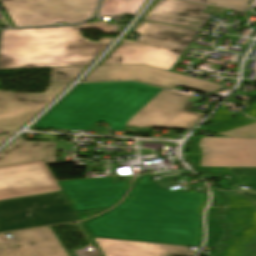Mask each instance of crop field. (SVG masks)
Segmentation results:
<instances>
[{"label":"crop field","instance_id":"crop-field-23","mask_svg":"<svg viewBox=\"0 0 256 256\" xmlns=\"http://www.w3.org/2000/svg\"><path fill=\"white\" fill-rule=\"evenodd\" d=\"M252 123H256V120H252V119L247 118L243 115L239 119H235L232 122L224 123V124H220V125H216V126H212V127H208V128H204V129H201L200 131H206V132H211V133L218 134V133H221V132H224V131H228V130H231V129H234V128L242 127V126L249 125V124H252Z\"/></svg>","mask_w":256,"mask_h":256},{"label":"crop field","instance_id":"crop-field-15","mask_svg":"<svg viewBox=\"0 0 256 256\" xmlns=\"http://www.w3.org/2000/svg\"><path fill=\"white\" fill-rule=\"evenodd\" d=\"M56 143L26 142L19 137L2 152L0 166L42 159L44 162H56Z\"/></svg>","mask_w":256,"mask_h":256},{"label":"crop field","instance_id":"crop-field-30","mask_svg":"<svg viewBox=\"0 0 256 256\" xmlns=\"http://www.w3.org/2000/svg\"><path fill=\"white\" fill-rule=\"evenodd\" d=\"M3 241H4V239H3V237L0 234V242H3Z\"/></svg>","mask_w":256,"mask_h":256},{"label":"crop field","instance_id":"crop-field-32","mask_svg":"<svg viewBox=\"0 0 256 256\" xmlns=\"http://www.w3.org/2000/svg\"><path fill=\"white\" fill-rule=\"evenodd\" d=\"M256 207V206H255Z\"/></svg>","mask_w":256,"mask_h":256},{"label":"crop field","instance_id":"crop-field-13","mask_svg":"<svg viewBox=\"0 0 256 256\" xmlns=\"http://www.w3.org/2000/svg\"><path fill=\"white\" fill-rule=\"evenodd\" d=\"M205 5L179 0H159L144 19L202 29L210 14L201 13Z\"/></svg>","mask_w":256,"mask_h":256},{"label":"crop field","instance_id":"crop-field-3","mask_svg":"<svg viewBox=\"0 0 256 256\" xmlns=\"http://www.w3.org/2000/svg\"><path fill=\"white\" fill-rule=\"evenodd\" d=\"M119 25L2 30L0 69L87 66L114 39H84L81 29L96 28L114 34Z\"/></svg>","mask_w":256,"mask_h":256},{"label":"crop field","instance_id":"crop-field-17","mask_svg":"<svg viewBox=\"0 0 256 256\" xmlns=\"http://www.w3.org/2000/svg\"><path fill=\"white\" fill-rule=\"evenodd\" d=\"M229 209L224 211V218L232 224V233H236L246 226L249 210L254 206L246 198L228 194Z\"/></svg>","mask_w":256,"mask_h":256},{"label":"crop field","instance_id":"crop-field-25","mask_svg":"<svg viewBox=\"0 0 256 256\" xmlns=\"http://www.w3.org/2000/svg\"><path fill=\"white\" fill-rule=\"evenodd\" d=\"M231 113H235V112H231V111H227V110H223L221 108H219L209 119L208 122L215 124V123H219V122H223V121H227V120H231L233 118H231ZM237 114V116L241 115V113H235Z\"/></svg>","mask_w":256,"mask_h":256},{"label":"crop field","instance_id":"crop-field-8","mask_svg":"<svg viewBox=\"0 0 256 256\" xmlns=\"http://www.w3.org/2000/svg\"><path fill=\"white\" fill-rule=\"evenodd\" d=\"M189 151L196 166L256 167V139L202 137Z\"/></svg>","mask_w":256,"mask_h":256},{"label":"crop field","instance_id":"crop-field-26","mask_svg":"<svg viewBox=\"0 0 256 256\" xmlns=\"http://www.w3.org/2000/svg\"><path fill=\"white\" fill-rule=\"evenodd\" d=\"M238 194L243 197H246L249 201H251L254 205H256V193L238 191Z\"/></svg>","mask_w":256,"mask_h":256},{"label":"crop field","instance_id":"crop-field-7","mask_svg":"<svg viewBox=\"0 0 256 256\" xmlns=\"http://www.w3.org/2000/svg\"><path fill=\"white\" fill-rule=\"evenodd\" d=\"M113 80H136L167 89L177 85L205 93L224 87L146 65L97 66L82 82Z\"/></svg>","mask_w":256,"mask_h":256},{"label":"crop field","instance_id":"crop-field-14","mask_svg":"<svg viewBox=\"0 0 256 256\" xmlns=\"http://www.w3.org/2000/svg\"><path fill=\"white\" fill-rule=\"evenodd\" d=\"M105 256H194L197 251L184 246L94 238Z\"/></svg>","mask_w":256,"mask_h":256},{"label":"crop field","instance_id":"crop-field-33","mask_svg":"<svg viewBox=\"0 0 256 256\" xmlns=\"http://www.w3.org/2000/svg\"><path fill=\"white\" fill-rule=\"evenodd\" d=\"M207 2V1H206Z\"/></svg>","mask_w":256,"mask_h":256},{"label":"crop field","instance_id":"crop-field-9","mask_svg":"<svg viewBox=\"0 0 256 256\" xmlns=\"http://www.w3.org/2000/svg\"><path fill=\"white\" fill-rule=\"evenodd\" d=\"M60 190L50 170L41 160L0 167V200Z\"/></svg>","mask_w":256,"mask_h":256},{"label":"crop field","instance_id":"crop-field-2","mask_svg":"<svg viewBox=\"0 0 256 256\" xmlns=\"http://www.w3.org/2000/svg\"><path fill=\"white\" fill-rule=\"evenodd\" d=\"M144 175L112 210L84 221L92 237L200 247L208 194L162 190Z\"/></svg>","mask_w":256,"mask_h":256},{"label":"crop field","instance_id":"crop-field-12","mask_svg":"<svg viewBox=\"0 0 256 256\" xmlns=\"http://www.w3.org/2000/svg\"><path fill=\"white\" fill-rule=\"evenodd\" d=\"M11 234L0 243V256H68L50 227Z\"/></svg>","mask_w":256,"mask_h":256},{"label":"crop field","instance_id":"crop-field-5","mask_svg":"<svg viewBox=\"0 0 256 256\" xmlns=\"http://www.w3.org/2000/svg\"><path fill=\"white\" fill-rule=\"evenodd\" d=\"M73 209L63 191L0 201V232L77 221Z\"/></svg>","mask_w":256,"mask_h":256},{"label":"crop field","instance_id":"crop-field-19","mask_svg":"<svg viewBox=\"0 0 256 256\" xmlns=\"http://www.w3.org/2000/svg\"><path fill=\"white\" fill-rule=\"evenodd\" d=\"M145 0H104L98 16L132 15L135 16Z\"/></svg>","mask_w":256,"mask_h":256},{"label":"crop field","instance_id":"crop-field-24","mask_svg":"<svg viewBox=\"0 0 256 256\" xmlns=\"http://www.w3.org/2000/svg\"><path fill=\"white\" fill-rule=\"evenodd\" d=\"M219 135L241 138H256V124L234 129L225 133H221Z\"/></svg>","mask_w":256,"mask_h":256},{"label":"crop field","instance_id":"crop-field-31","mask_svg":"<svg viewBox=\"0 0 256 256\" xmlns=\"http://www.w3.org/2000/svg\"><path fill=\"white\" fill-rule=\"evenodd\" d=\"M0 33H1V30H0Z\"/></svg>","mask_w":256,"mask_h":256},{"label":"crop field","instance_id":"crop-field-18","mask_svg":"<svg viewBox=\"0 0 256 256\" xmlns=\"http://www.w3.org/2000/svg\"><path fill=\"white\" fill-rule=\"evenodd\" d=\"M199 170H206L228 175L238 183L235 189L240 186L249 187L248 190L256 192V168H212L198 167Z\"/></svg>","mask_w":256,"mask_h":256},{"label":"crop field","instance_id":"crop-field-11","mask_svg":"<svg viewBox=\"0 0 256 256\" xmlns=\"http://www.w3.org/2000/svg\"><path fill=\"white\" fill-rule=\"evenodd\" d=\"M68 85H49L43 94L0 92V125L24 126Z\"/></svg>","mask_w":256,"mask_h":256},{"label":"crop field","instance_id":"crop-field-20","mask_svg":"<svg viewBox=\"0 0 256 256\" xmlns=\"http://www.w3.org/2000/svg\"><path fill=\"white\" fill-rule=\"evenodd\" d=\"M86 67L51 68L50 83L74 81Z\"/></svg>","mask_w":256,"mask_h":256},{"label":"crop field","instance_id":"crop-field-6","mask_svg":"<svg viewBox=\"0 0 256 256\" xmlns=\"http://www.w3.org/2000/svg\"><path fill=\"white\" fill-rule=\"evenodd\" d=\"M16 27L79 23L94 15L98 0H0Z\"/></svg>","mask_w":256,"mask_h":256},{"label":"crop field","instance_id":"crop-field-29","mask_svg":"<svg viewBox=\"0 0 256 256\" xmlns=\"http://www.w3.org/2000/svg\"><path fill=\"white\" fill-rule=\"evenodd\" d=\"M12 134H9V135H2V136H0V144L2 143V142H4L8 137H10Z\"/></svg>","mask_w":256,"mask_h":256},{"label":"crop field","instance_id":"crop-field-16","mask_svg":"<svg viewBox=\"0 0 256 256\" xmlns=\"http://www.w3.org/2000/svg\"><path fill=\"white\" fill-rule=\"evenodd\" d=\"M226 249L224 256H256V208L252 210L249 226L232 235Z\"/></svg>","mask_w":256,"mask_h":256},{"label":"crop field","instance_id":"crop-field-1","mask_svg":"<svg viewBox=\"0 0 256 256\" xmlns=\"http://www.w3.org/2000/svg\"><path fill=\"white\" fill-rule=\"evenodd\" d=\"M197 100L135 82L82 84L33 127L90 130L98 121L117 131L125 126L188 130L206 116L187 110Z\"/></svg>","mask_w":256,"mask_h":256},{"label":"crop field","instance_id":"crop-field-21","mask_svg":"<svg viewBox=\"0 0 256 256\" xmlns=\"http://www.w3.org/2000/svg\"><path fill=\"white\" fill-rule=\"evenodd\" d=\"M219 212V209L210 208L208 211V222H207V229H208V236H207V243L206 246L215 247L217 246L221 235H223L222 226L218 223L217 220L213 219L212 216Z\"/></svg>","mask_w":256,"mask_h":256},{"label":"crop field","instance_id":"crop-field-22","mask_svg":"<svg viewBox=\"0 0 256 256\" xmlns=\"http://www.w3.org/2000/svg\"><path fill=\"white\" fill-rule=\"evenodd\" d=\"M184 1L207 5L205 0H184ZM207 1L209 6H212L210 5V2H212V3H216V5L213 7L226 8L228 10L246 13L248 9V3L250 0H207Z\"/></svg>","mask_w":256,"mask_h":256},{"label":"crop field","instance_id":"crop-field-27","mask_svg":"<svg viewBox=\"0 0 256 256\" xmlns=\"http://www.w3.org/2000/svg\"><path fill=\"white\" fill-rule=\"evenodd\" d=\"M21 127H7V126H0V134L10 133L17 131Z\"/></svg>","mask_w":256,"mask_h":256},{"label":"crop field","instance_id":"crop-field-28","mask_svg":"<svg viewBox=\"0 0 256 256\" xmlns=\"http://www.w3.org/2000/svg\"><path fill=\"white\" fill-rule=\"evenodd\" d=\"M251 107L252 109L248 111L246 114L253 118H256V103L252 104Z\"/></svg>","mask_w":256,"mask_h":256},{"label":"crop field","instance_id":"crop-field-10","mask_svg":"<svg viewBox=\"0 0 256 256\" xmlns=\"http://www.w3.org/2000/svg\"><path fill=\"white\" fill-rule=\"evenodd\" d=\"M130 183L113 184V178L58 182L74 210L110 207L124 197Z\"/></svg>","mask_w":256,"mask_h":256},{"label":"crop field","instance_id":"crop-field-4","mask_svg":"<svg viewBox=\"0 0 256 256\" xmlns=\"http://www.w3.org/2000/svg\"><path fill=\"white\" fill-rule=\"evenodd\" d=\"M199 30L144 23L135 33L137 42L127 40L102 65L146 64L171 71Z\"/></svg>","mask_w":256,"mask_h":256}]
</instances>
